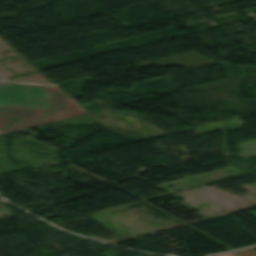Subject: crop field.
Listing matches in <instances>:
<instances>
[{
  "instance_id": "crop-field-1",
  "label": "crop field",
  "mask_w": 256,
  "mask_h": 256,
  "mask_svg": "<svg viewBox=\"0 0 256 256\" xmlns=\"http://www.w3.org/2000/svg\"><path fill=\"white\" fill-rule=\"evenodd\" d=\"M47 94L48 110L0 106V134L84 113L55 86H48Z\"/></svg>"
},
{
  "instance_id": "crop-field-2",
  "label": "crop field",
  "mask_w": 256,
  "mask_h": 256,
  "mask_svg": "<svg viewBox=\"0 0 256 256\" xmlns=\"http://www.w3.org/2000/svg\"><path fill=\"white\" fill-rule=\"evenodd\" d=\"M46 86L4 83L0 85V101L47 105Z\"/></svg>"
},
{
  "instance_id": "crop-field-3",
  "label": "crop field",
  "mask_w": 256,
  "mask_h": 256,
  "mask_svg": "<svg viewBox=\"0 0 256 256\" xmlns=\"http://www.w3.org/2000/svg\"><path fill=\"white\" fill-rule=\"evenodd\" d=\"M239 256H256V251L252 248L235 251Z\"/></svg>"
},
{
  "instance_id": "crop-field-4",
  "label": "crop field",
  "mask_w": 256,
  "mask_h": 256,
  "mask_svg": "<svg viewBox=\"0 0 256 256\" xmlns=\"http://www.w3.org/2000/svg\"><path fill=\"white\" fill-rule=\"evenodd\" d=\"M0 105L46 108V106H41V105H28V104L2 103V102H0Z\"/></svg>"
},
{
  "instance_id": "crop-field-5",
  "label": "crop field",
  "mask_w": 256,
  "mask_h": 256,
  "mask_svg": "<svg viewBox=\"0 0 256 256\" xmlns=\"http://www.w3.org/2000/svg\"><path fill=\"white\" fill-rule=\"evenodd\" d=\"M217 256H235V255L232 253H229V254H223V255H217Z\"/></svg>"
},
{
  "instance_id": "crop-field-6",
  "label": "crop field",
  "mask_w": 256,
  "mask_h": 256,
  "mask_svg": "<svg viewBox=\"0 0 256 256\" xmlns=\"http://www.w3.org/2000/svg\"><path fill=\"white\" fill-rule=\"evenodd\" d=\"M248 213L256 217V212H248Z\"/></svg>"
},
{
  "instance_id": "crop-field-7",
  "label": "crop field",
  "mask_w": 256,
  "mask_h": 256,
  "mask_svg": "<svg viewBox=\"0 0 256 256\" xmlns=\"http://www.w3.org/2000/svg\"><path fill=\"white\" fill-rule=\"evenodd\" d=\"M2 81H0V83H1Z\"/></svg>"
}]
</instances>
